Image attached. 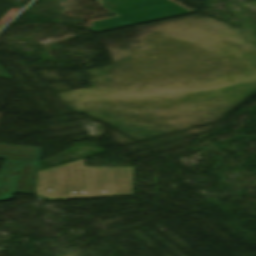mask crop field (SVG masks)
<instances>
[{
  "label": "crop field",
  "instance_id": "1",
  "mask_svg": "<svg viewBox=\"0 0 256 256\" xmlns=\"http://www.w3.org/2000/svg\"><path fill=\"white\" fill-rule=\"evenodd\" d=\"M84 159L38 172L46 199L132 195L133 168L83 167Z\"/></svg>",
  "mask_w": 256,
  "mask_h": 256
},
{
  "label": "crop field",
  "instance_id": "2",
  "mask_svg": "<svg viewBox=\"0 0 256 256\" xmlns=\"http://www.w3.org/2000/svg\"><path fill=\"white\" fill-rule=\"evenodd\" d=\"M104 7L121 15L92 22L95 31L189 12L170 0H101Z\"/></svg>",
  "mask_w": 256,
  "mask_h": 256
},
{
  "label": "crop field",
  "instance_id": "3",
  "mask_svg": "<svg viewBox=\"0 0 256 256\" xmlns=\"http://www.w3.org/2000/svg\"><path fill=\"white\" fill-rule=\"evenodd\" d=\"M0 77L10 78V76L5 72V70L0 66Z\"/></svg>",
  "mask_w": 256,
  "mask_h": 256
},
{
  "label": "crop field",
  "instance_id": "4",
  "mask_svg": "<svg viewBox=\"0 0 256 256\" xmlns=\"http://www.w3.org/2000/svg\"><path fill=\"white\" fill-rule=\"evenodd\" d=\"M2 114H3V113H0V119H1Z\"/></svg>",
  "mask_w": 256,
  "mask_h": 256
}]
</instances>
